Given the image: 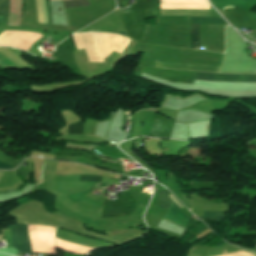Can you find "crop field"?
I'll return each instance as SVG.
<instances>
[{
    "instance_id": "crop-field-10",
    "label": "crop field",
    "mask_w": 256,
    "mask_h": 256,
    "mask_svg": "<svg viewBox=\"0 0 256 256\" xmlns=\"http://www.w3.org/2000/svg\"><path fill=\"white\" fill-rule=\"evenodd\" d=\"M83 123L68 125V134L82 135Z\"/></svg>"
},
{
    "instance_id": "crop-field-5",
    "label": "crop field",
    "mask_w": 256,
    "mask_h": 256,
    "mask_svg": "<svg viewBox=\"0 0 256 256\" xmlns=\"http://www.w3.org/2000/svg\"><path fill=\"white\" fill-rule=\"evenodd\" d=\"M79 35H80V37L83 41V44L86 48V52L89 57V60L90 61L103 60L98 51V48L96 46L93 34L92 33H82Z\"/></svg>"
},
{
    "instance_id": "crop-field-15",
    "label": "crop field",
    "mask_w": 256,
    "mask_h": 256,
    "mask_svg": "<svg viewBox=\"0 0 256 256\" xmlns=\"http://www.w3.org/2000/svg\"><path fill=\"white\" fill-rule=\"evenodd\" d=\"M8 167H12V166L0 162V168H8Z\"/></svg>"
},
{
    "instance_id": "crop-field-7",
    "label": "crop field",
    "mask_w": 256,
    "mask_h": 256,
    "mask_svg": "<svg viewBox=\"0 0 256 256\" xmlns=\"http://www.w3.org/2000/svg\"><path fill=\"white\" fill-rule=\"evenodd\" d=\"M198 47H199V24H192L191 48L198 49Z\"/></svg>"
},
{
    "instance_id": "crop-field-8",
    "label": "crop field",
    "mask_w": 256,
    "mask_h": 256,
    "mask_svg": "<svg viewBox=\"0 0 256 256\" xmlns=\"http://www.w3.org/2000/svg\"><path fill=\"white\" fill-rule=\"evenodd\" d=\"M63 3L65 8L89 6L88 0H67Z\"/></svg>"
},
{
    "instance_id": "crop-field-3",
    "label": "crop field",
    "mask_w": 256,
    "mask_h": 256,
    "mask_svg": "<svg viewBox=\"0 0 256 256\" xmlns=\"http://www.w3.org/2000/svg\"><path fill=\"white\" fill-rule=\"evenodd\" d=\"M155 67L193 70V71H208V72H218V69H219V67H215V66L172 63V62H162V61H156Z\"/></svg>"
},
{
    "instance_id": "crop-field-14",
    "label": "crop field",
    "mask_w": 256,
    "mask_h": 256,
    "mask_svg": "<svg viewBox=\"0 0 256 256\" xmlns=\"http://www.w3.org/2000/svg\"><path fill=\"white\" fill-rule=\"evenodd\" d=\"M80 180L100 182L101 178L90 177V176H80Z\"/></svg>"
},
{
    "instance_id": "crop-field-11",
    "label": "crop field",
    "mask_w": 256,
    "mask_h": 256,
    "mask_svg": "<svg viewBox=\"0 0 256 256\" xmlns=\"http://www.w3.org/2000/svg\"><path fill=\"white\" fill-rule=\"evenodd\" d=\"M223 218H224V212H206V211H204L203 218H201V219H223Z\"/></svg>"
},
{
    "instance_id": "crop-field-2",
    "label": "crop field",
    "mask_w": 256,
    "mask_h": 256,
    "mask_svg": "<svg viewBox=\"0 0 256 256\" xmlns=\"http://www.w3.org/2000/svg\"><path fill=\"white\" fill-rule=\"evenodd\" d=\"M13 239V247L17 251L32 254L27 225L9 226Z\"/></svg>"
},
{
    "instance_id": "crop-field-12",
    "label": "crop field",
    "mask_w": 256,
    "mask_h": 256,
    "mask_svg": "<svg viewBox=\"0 0 256 256\" xmlns=\"http://www.w3.org/2000/svg\"><path fill=\"white\" fill-rule=\"evenodd\" d=\"M9 11V0H0V15L6 16Z\"/></svg>"
},
{
    "instance_id": "crop-field-13",
    "label": "crop field",
    "mask_w": 256,
    "mask_h": 256,
    "mask_svg": "<svg viewBox=\"0 0 256 256\" xmlns=\"http://www.w3.org/2000/svg\"><path fill=\"white\" fill-rule=\"evenodd\" d=\"M71 37L73 39V42H74L75 47H76L77 50L84 49L83 44H82L78 34L71 35Z\"/></svg>"
},
{
    "instance_id": "crop-field-4",
    "label": "crop field",
    "mask_w": 256,
    "mask_h": 256,
    "mask_svg": "<svg viewBox=\"0 0 256 256\" xmlns=\"http://www.w3.org/2000/svg\"><path fill=\"white\" fill-rule=\"evenodd\" d=\"M171 197H170V201H171L170 207L168 208L163 218L185 228L189 218L186 217L182 212L178 210L181 207L175 202L176 200L172 197L175 200L174 201Z\"/></svg>"
},
{
    "instance_id": "crop-field-6",
    "label": "crop field",
    "mask_w": 256,
    "mask_h": 256,
    "mask_svg": "<svg viewBox=\"0 0 256 256\" xmlns=\"http://www.w3.org/2000/svg\"><path fill=\"white\" fill-rule=\"evenodd\" d=\"M192 23L224 24L222 18L192 17Z\"/></svg>"
},
{
    "instance_id": "crop-field-1",
    "label": "crop field",
    "mask_w": 256,
    "mask_h": 256,
    "mask_svg": "<svg viewBox=\"0 0 256 256\" xmlns=\"http://www.w3.org/2000/svg\"><path fill=\"white\" fill-rule=\"evenodd\" d=\"M141 73L169 82L194 84L197 72L173 71L157 68H142ZM197 80L256 83V75L213 74L198 72Z\"/></svg>"
},
{
    "instance_id": "crop-field-9",
    "label": "crop field",
    "mask_w": 256,
    "mask_h": 256,
    "mask_svg": "<svg viewBox=\"0 0 256 256\" xmlns=\"http://www.w3.org/2000/svg\"><path fill=\"white\" fill-rule=\"evenodd\" d=\"M159 208H168L169 199L167 191H158Z\"/></svg>"
}]
</instances>
